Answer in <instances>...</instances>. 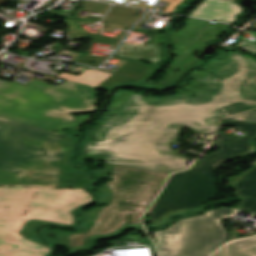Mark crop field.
I'll return each instance as SVG.
<instances>
[{
	"label": "crop field",
	"mask_w": 256,
	"mask_h": 256,
	"mask_svg": "<svg viewBox=\"0 0 256 256\" xmlns=\"http://www.w3.org/2000/svg\"><path fill=\"white\" fill-rule=\"evenodd\" d=\"M222 120L236 121V122H246V123H256V111H250V112L242 113V114H239V115L224 118Z\"/></svg>",
	"instance_id": "16"
},
{
	"label": "crop field",
	"mask_w": 256,
	"mask_h": 256,
	"mask_svg": "<svg viewBox=\"0 0 256 256\" xmlns=\"http://www.w3.org/2000/svg\"><path fill=\"white\" fill-rule=\"evenodd\" d=\"M111 76L112 74L85 69L78 76L62 73L57 77L62 78L64 80H69V81L97 87L101 83H103L105 80L110 78Z\"/></svg>",
	"instance_id": "14"
},
{
	"label": "crop field",
	"mask_w": 256,
	"mask_h": 256,
	"mask_svg": "<svg viewBox=\"0 0 256 256\" xmlns=\"http://www.w3.org/2000/svg\"><path fill=\"white\" fill-rule=\"evenodd\" d=\"M115 56L126 59H145L152 63H158L161 54L155 43L145 46L123 43Z\"/></svg>",
	"instance_id": "12"
},
{
	"label": "crop field",
	"mask_w": 256,
	"mask_h": 256,
	"mask_svg": "<svg viewBox=\"0 0 256 256\" xmlns=\"http://www.w3.org/2000/svg\"><path fill=\"white\" fill-rule=\"evenodd\" d=\"M228 25L222 23H208L206 20L190 18L185 27L177 32L179 43L176 45L175 62L169 68L178 69L195 59L192 53L194 45L202 38L219 35Z\"/></svg>",
	"instance_id": "8"
},
{
	"label": "crop field",
	"mask_w": 256,
	"mask_h": 256,
	"mask_svg": "<svg viewBox=\"0 0 256 256\" xmlns=\"http://www.w3.org/2000/svg\"><path fill=\"white\" fill-rule=\"evenodd\" d=\"M64 149L58 133L0 119V185L58 187Z\"/></svg>",
	"instance_id": "4"
},
{
	"label": "crop field",
	"mask_w": 256,
	"mask_h": 256,
	"mask_svg": "<svg viewBox=\"0 0 256 256\" xmlns=\"http://www.w3.org/2000/svg\"><path fill=\"white\" fill-rule=\"evenodd\" d=\"M88 182L81 170L74 169L72 166L67 165L65 160L63 161L59 187L83 188Z\"/></svg>",
	"instance_id": "15"
},
{
	"label": "crop field",
	"mask_w": 256,
	"mask_h": 256,
	"mask_svg": "<svg viewBox=\"0 0 256 256\" xmlns=\"http://www.w3.org/2000/svg\"><path fill=\"white\" fill-rule=\"evenodd\" d=\"M235 48H239V49H242V50H246V51H249V52L256 53V44H253V43H250V42H247V41H244V40H242L239 44H237L235 46Z\"/></svg>",
	"instance_id": "17"
},
{
	"label": "crop field",
	"mask_w": 256,
	"mask_h": 256,
	"mask_svg": "<svg viewBox=\"0 0 256 256\" xmlns=\"http://www.w3.org/2000/svg\"><path fill=\"white\" fill-rule=\"evenodd\" d=\"M229 184L243 198L238 208L256 214V166L237 177H231Z\"/></svg>",
	"instance_id": "10"
},
{
	"label": "crop field",
	"mask_w": 256,
	"mask_h": 256,
	"mask_svg": "<svg viewBox=\"0 0 256 256\" xmlns=\"http://www.w3.org/2000/svg\"><path fill=\"white\" fill-rule=\"evenodd\" d=\"M149 69L150 67H148L146 64L133 61L106 82L101 84L98 88L109 90L111 86L117 84H136L139 80L145 79L146 73Z\"/></svg>",
	"instance_id": "11"
},
{
	"label": "crop field",
	"mask_w": 256,
	"mask_h": 256,
	"mask_svg": "<svg viewBox=\"0 0 256 256\" xmlns=\"http://www.w3.org/2000/svg\"><path fill=\"white\" fill-rule=\"evenodd\" d=\"M214 256H256V237L230 243Z\"/></svg>",
	"instance_id": "13"
},
{
	"label": "crop field",
	"mask_w": 256,
	"mask_h": 256,
	"mask_svg": "<svg viewBox=\"0 0 256 256\" xmlns=\"http://www.w3.org/2000/svg\"><path fill=\"white\" fill-rule=\"evenodd\" d=\"M95 90L69 81L57 87L38 80L26 87L0 82V118L51 130L76 119L70 112L95 111Z\"/></svg>",
	"instance_id": "3"
},
{
	"label": "crop field",
	"mask_w": 256,
	"mask_h": 256,
	"mask_svg": "<svg viewBox=\"0 0 256 256\" xmlns=\"http://www.w3.org/2000/svg\"><path fill=\"white\" fill-rule=\"evenodd\" d=\"M91 201L83 189L0 186V256H46L49 249L20 234L29 219L70 225L71 212Z\"/></svg>",
	"instance_id": "2"
},
{
	"label": "crop field",
	"mask_w": 256,
	"mask_h": 256,
	"mask_svg": "<svg viewBox=\"0 0 256 256\" xmlns=\"http://www.w3.org/2000/svg\"><path fill=\"white\" fill-rule=\"evenodd\" d=\"M125 224H131V215L130 214L127 216Z\"/></svg>",
	"instance_id": "18"
},
{
	"label": "crop field",
	"mask_w": 256,
	"mask_h": 256,
	"mask_svg": "<svg viewBox=\"0 0 256 256\" xmlns=\"http://www.w3.org/2000/svg\"><path fill=\"white\" fill-rule=\"evenodd\" d=\"M113 181H106L112 191L111 203L101 209L93 227L82 234L68 236L69 247L84 244L93 234H106L121 227L126 216L132 214V224H140L143 214L155 198L168 173L112 165Z\"/></svg>",
	"instance_id": "6"
},
{
	"label": "crop field",
	"mask_w": 256,
	"mask_h": 256,
	"mask_svg": "<svg viewBox=\"0 0 256 256\" xmlns=\"http://www.w3.org/2000/svg\"><path fill=\"white\" fill-rule=\"evenodd\" d=\"M228 61H209L191 75L207 85L196 91L198 97L175 94L147 98L120 89L109 109L116 115L95 131L81 159L100 157L115 164L163 172L186 169V157L175 156L181 127L200 133L216 132L218 119L256 107V61L229 53Z\"/></svg>",
	"instance_id": "1"
},
{
	"label": "crop field",
	"mask_w": 256,
	"mask_h": 256,
	"mask_svg": "<svg viewBox=\"0 0 256 256\" xmlns=\"http://www.w3.org/2000/svg\"><path fill=\"white\" fill-rule=\"evenodd\" d=\"M236 208L209 210L204 216L177 221L169 229L154 232L160 256H208L228 236L220 225L221 218H230Z\"/></svg>",
	"instance_id": "7"
},
{
	"label": "crop field",
	"mask_w": 256,
	"mask_h": 256,
	"mask_svg": "<svg viewBox=\"0 0 256 256\" xmlns=\"http://www.w3.org/2000/svg\"><path fill=\"white\" fill-rule=\"evenodd\" d=\"M221 125L240 127L247 134L231 138L219 132L216 142L221 152L205 156L194 169L173 174L150 210L152 225L218 195L212 164L254 153L256 148L251 142L256 138V124L222 121Z\"/></svg>",
	"instance_id": "5"
},
{
	"label": "crop field",
	"mask_w": 256,
	"mask_h": 256,
	"mask_svg": "<svg viewBox=\"0 0 256 256\" xmlns=\"http://www.w3.org/2000/svg\"><path fill=\"white\" fill-rule=\"evenodd\" d=\"M235 2L228 0H206L190 16L224 21L232 24L236 14L242 12Z\"/></svg>",
	"instance_id": "9"
}]
</instances>
